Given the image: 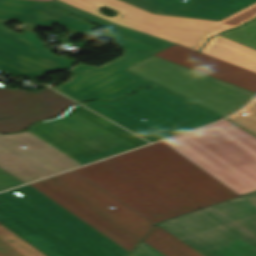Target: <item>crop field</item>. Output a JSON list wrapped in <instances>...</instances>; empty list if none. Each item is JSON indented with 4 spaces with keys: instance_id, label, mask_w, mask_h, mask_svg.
I'll list each match as a JSON object with an SVG mask.
<instances>
[{
    "instance_id": "obj_1",
    "label": "crop field",
    "mask_w": 256,
    "mask_h": 256,
    "mask_svg": "<svg viewBox=\"0 0 256 256\" xmlns=\"http://www.w3.org/2000/svg\"><path fill=\"white\" fill-rule=\"evenodd\" d=\"M74 170L156 224L239 196L162 141Z\"/></svg>"
},
{
    "instance_id": "obj_2",
    "label": "crop field",
    "mask_w": 256,
    "mask_h": 256,
    "mask_svg": "<svg viewBox=\"0 0 256 256\" xmlns=\"http://www.w3.org/2000/svg\"><path fill=\"white\" fill-rule=\"evenodd\" d=\"M0 222L47 256L129 253L29 184L0 194Z\"/></svg>"
},
{
    "instance_id": "obj_3",
    "label": "crop field",
    "mask_w": 256,
    "mask_h": 256,
    "mask_svg": "<svg viewBox=\"0 0 256 256\" xmlns=\"http://www.w3.org/2000/svg\"><path fill=\"white\" fill-rule=\"evenodd\" d=\"M116 24L126 26L197 50L212 34L235 27L256 16V2L220 20H205L148 13L120 0H61ZM118 10L116 17H104L97 7ZM253 19V18H252ZM216 35V34H215ZM206 54L256 72V50L217 35L203 47Z\"/></svg>"
},
{
    "instance_id": "obj_4",
    "label": "crop field",
    "mask_w": 256,
    "mask_h": 256,
    "mask_svg": "<svg viewBox=\"0 0 256 256\" xmlns=\"http://www.w3.org/2000/svg\"><path fill=\"white\" fill-rule=\"evenodd\" d=\"M44 4L34 1L11 19L41 27L63 25L83 34L107 37L123 49V56L100 67L80 64L69 72L73 75L64 84L54 89L77 101H84L97 98L115 99L132 93L137 86H156L125 69L158 51L111 31H104L100 35L88 33L96 26Z\"/></svg>"
},
{
    "instance_id": "obj_5",
    "label": "crop field",
    "mask_w": 256,
    "mask_h": 256,
    "mask_svg": "<svg viewBox=\"0 0 256 256\" xmlns=\"http://www.w3.org/2000/svg\"><path fill=\"white\" fill-rule=\"evenodd\" d=\"M158 225L206 256H256V192Z\"/></svg>"
},
{
    "instance_id": "obj_6",
    "label": "crop field",
    "mask_w": 256,
    "mask_h": 256,
    "mask_svg": "<svg viewBox=\"0 0 256 256\" xmlns=\"http://www.w3.org/2000/svg\"><path fill=\"white\" fill-rule=\"evenodd\" d=\"M166 140L238 194L256 190V137L229 121L224 119Z\"/></svg>"
},
{
    "instance_id": "obj_7",
    "label": "crop field",
    "mask_w": 256,
    "mask_h": 256,
    "mask_svg": "<svg viewBox=\"0 0 256 256\" xmlns=\"http://www.w3.org/2000/svg\"><path fill=\"white\" fill-rule=\"evenodd\" d=\"M82 104L151 142L222 118L161 87Z\"/></svg>"
},
{
    "instance_id": "obj_8",
    "label": "crop field",
    "mask_w": 256,
    "mask_h": 256,
    "mask_svg": "<svg viewBox=\"0 0 256 256\" xmlns=\"http://www.w3.org/2000/svg\"><path fill=\"white\" fill-rule=\"evenodd\" d=\"M27 131L82 164L147 143L79 104L62 117L36 123Z\"/></svg>"
},
{
    "instance_id": "obj_9",
    "label": "crop field",
    "mask_w": 256,
    "mask_h": 256,
    "mask_svg": "<svg viewBox=\"0 0 256 256\" xmlns=\"http://www.w3.org/2000/svg\"><path fill=\"white\" fill-rule=\"evenodd\" d=\"M127 70L223 116L244 105L255 94L154 55Z\"/></svg>"
},
{
    "instance_id": "obj_10",
    "label": "crop field",
    "mask_w": 256,
    "mask_h": 256,
    "mask_svg": "<svg viewBox=\"0 0 256 256\" xmlns=\"http://www.w3.org/2000/svg\"><path fill=\"white\" fill-rule=\"evenodd\" d=\"M42 180L137 244L156 225L73 170Z\"/></svg>"
},
{
    "instance_id": "obj_11",
    "label": "crop field",
    "mask_w": 256,
    "mask_h": 256,
    "mask_svg": "<svg viewBox=\"0 0 256 256\" xmlns=\"http://www.w3.org/2000/svg\"><path fill=\"white\" fill-rule=\"evenodd\" d=\"M79 165L82 164L27 131L0 134V167L25 183Z\"/></svg>"
},
{
    "instance_id": "obj_12",
    "label": "crop field",
    "mask_w": 256,
    "mask_h": 256,
    "mask_svg": "<svg viewBox=\"0 0 256 256\" xmlns=\"http://www.w3.org/2000/svg\"><path fill=\"white\" fill-rule=\"evenodd\" d=\"M74 60L52 54L29 30L18 34L0 23V71L35 77L71 67Z\"/></svg>"
},
{
    "instance_id": "obj_13",
    "label": "crop field",
    "mask_w": 256,
    "mask_h": 256,
    "mask_svg": "<svg viewBox=\"0 0 256 256\" xmlns=\"http://www.w3.org/2000/svg\"><path fill=\"white\" fill-rule=\"evenodd\" d=\"M43 90H10L0 84V133L23 131L37 120L56 116L76 102L42 85Z\"/></svg>"
},
{
    "instance_id": "obj_14",
    "label": "crop field",
    "mask_w": 256,
    "mask_h": 256,
    "mask_svg": "<svg viewBox=\"0 0 256 256\" xmlns=\"http://www.w3.org/2000/svg\"><path fill=\"white\" fill-rule=\"evenodd\" d=\"M154 55L256 93V73L174 44Z\"/></svg>"
},
{
    "instance_id": "obj_15",
    "label": "crop field",
    "mask_w": 256,
    "mask_h": 256,
    "mask_svg": "<svg viewBox=\"0 0 256 256\" xmlns=\"http://www.w3.org/2000/svg\"><path fill=\"white\" fill-rule=\"evenodd\" d=\"M122 1L152 13L219 20L256 0H187L185 2L180 0Z\"/></svg>"
},
{
    "instance_id": "obj_16",
    "label": "crop field",
    "mask_w": 256,
    "mask_h": 256,
    "mask_svg": "<svg viewBox=\"0 0 256 256\" xmlns=\"http://www.w3.org/2000/svg\"><path fill=\"white\" fill-rule=\"evenodd\" d=\"M32 186H34L36 189L44 193L46 196L54 200L56 203L64 207L66 210L104 234L105 236L109 237L113 241H115L117 244H119L121 247L126 249L127 251H131L137 244L90 214L88 211L44 183L43 181L39 180L34 183H30ZM30 185V186H31Z\"/></svg>"
},
{
    "instance_id": "obj_17",
    "label": "crop field",
    "mask_w": 256,
    "mask_h": 256,
    "mask_svg": "<svg viewBox=\"0 0 256 256\" xmlns=\"http://www.w3.org/2000/svg\"><path fill=\"white\" fill-rule=\"evenodd\" d=\"M47 4H49L53 7H56L60 10H63V11H65L69 14H72L74 16H77L79 18H82V19H85V20L90 21L92 23H95L97 25H100L104 28H107V29L113 31V32H116V33L121 34L123 36H126L128 38H131L133 40H136V41H138L142 44H145L149 47H152V48H154L158 51L174 44V43H171V42H168V41H165V40H162V39H159V38H156V37H153V36H150V35H147V34H144V33L129 29V28H126V27L116 25V24L111 23L107 20L99 18L95 15L87 13L83 10L75 8L71 5L60 2L58 0H51Z\"/></svg>"
},
{
    "instance_id": "obj_18",
    "label": "crop field",
    "mask_w": 256,
    "mask_h": 256,
    "mask_svg": "<svg viewBox=\"0 0 256 256\" xmlns=\"http://www.w3.org/2000/svg\"><path fill=\"white\" fill-rule=\"evenodd\" d=\"M166 256H204L188 245L168 233L160 226H156L143 240Z\"/></svg>"
},
{
    "instance_id": "obj_19",
    "label": "crop field",
    "mask_w": 256,
    "mask_h": 256,
    "mask_svg": "<svg viewBox=\"0 0 256 256\" xmlns=\"http://www.w3.org/2000/svg\"><path fill=\"white\" fill-rule=\"evenodd\" d=\"M0 256H46L0 224Z\"/></svg>"
},
{
    "instance_id": "obj_20",
    "label": "crop field",
    "mask_w": 256,
    "mask_h": 256,
    "mask_svg": "<svg viewBox=\"0 0 256 256\" xmlns=\"http://www.w3.org/2000/svg\"><path fill=\"white\" fill-rule=\"evenodd\" d=\"M220 35L256 49V19Z\"/></svg>"
},
{
    "instance_id": "obj_21",
    "label": "crop field",
    "mask_w": 256,
    "mask_h": 256,
    "mask_svg": "<svg viewBox=\"0 0 256 256\" xmlns=\"http://www.w3.org/2000/svg\"><path fill=\"white\" fill-rule=\"evenodd\" d=\"M243 112L248 114L242 116L240 113ZM227 118L256 135V98L242 110Z\"/></svg>"
},
{
    "instance_id": "obj_22",
    "label": "crop field",
    "mask_w": 256,
    "mask_h": 256,
    "mask_svg": "<svg viewBox=\"0 0 256 256\" xmlns=\"http://www.w3.org/2000/svg\"><path fill=\"white\" fill-rule=\"evenodd\" d=\"M31 2L30 0H0V20L7 21Z\"/></svg>"
},
{
    "instance_id": "obj_23",
    "label": "crop field",
    "mask_w": 256,
    "mask_h": 256,
    "mask_svg": "<svg viewBox=\"0 0 256 256\" xmlns=\"http://www.w3.org/2000/svg\"><path fill=\"white\" fill-rule=\"evenodd\" d=\"M20 184L24 183L0 168V191Z\"/></svg>"
},
{
    "instance_id": "obj_24",
    "label": "crop field",
    "mask_w": 256,
    "mask_h": 256,
    "mask_svg": "<svg viewBox=\"0 0 256 256\" xmlns=\"http://www.w3.org/2000/svg\"><path fill=\"white\" fill-rule=\"evenodd\" d=\"M145 248L146 250L142 251L139 248ZM129 256H164L145 242H141Z\"/></svg>"
}]
</instances>
